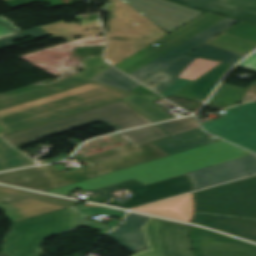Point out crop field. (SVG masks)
<instances>
[{
    "label": "crop field",
    "mask_w": 256,
    "mask_h": 256,
    "mask_svg": "<svg viewBox=\"0 0 256 256\" xmlns=\"http://www.w3.org/2000/svg\"><path fill=\"white\" fill-rule=\"evenodd\" d=\"M116 188L126 189L130 192H133L134 194L125 205L112 202L107 203V205L119 206L126 209L140 204L190 192L192 190L188 177L185 174L148 185L132 179L94 190V192L110 200L114 197V195L111 194L115 191Z\"/></svg>",
    "instance_id": "crop-field-10"
},
{
    "label": "crop field",
    "mask_w": 256,
    "mask_h": 256,
    "mask_svg": "<svg viewBox=\"0 0 256 256\" xmlns=\"http://www.w3.org/2000/svg\"><path fill=\"white\" fill-rule=\"evenodd\" d=\"M73 208L79 214L76 219L75 225L102 230V232L99 233V235H103L106 232H108L109 230H111L121 220H117L115 223H109L107 225H104V224H99V223L92 222V221H86L88 216L94 215L96 213H101V214H109V215L123 218V216L125 214V212L116 210V209H111V208H107V207H86L83 204L73 206Z\"/></svg>",
    "instance_id": "crop-field-22"
},
{
    "label": "crop field",
    "mask_w": 256,
    "mask_h": 256,
    "mask_svg": "<svg viewBox=\"0 0 256 256\" xmlns=\"http://www.w3.org/2000/svg\"><path fill=\"white\" fill-rule=\"evenodd\" d=\"M207 44H211L226 50H230L242 55H247L256 49V43H252L227 34H220Z\"/></svg>",
    "instance_id": "crop-field-27"
},
{
    "label": "crop field",
    "mask_w": 256,
    "mask_h": 256,
    "mask_svg": "<svg viewBox=\"0 0 256 256\" xmlns=\"http://www.w3.org/2000/svg\"><path fill=\"white\" fill-rule=\"evenodd\" d=\"M194 59L195 57L186 55L143 84L159 93L165 90ZM151 82L156 83V86H150Z\"/></svg>",
    "instance_id": "crop-field-24"
},
{
    "label": "crop field",
    "mask_w": 256,
    "mask_h": 256,
    "mask_svg": "<svg viewBox=\"0 0 256 256\" xmlns=\"http://www.w3.org/2000/svg\"><path fill=\"white\" fill-rule=\"evenodd\" d=\"M224 33L256 42V26L250 24L240 22Z\"/></svg>",
    "instance_id": "crop-field-35"
},
{
    "label": "crop field",
    "mask_w": 256,
    "mask_h": 256,
    "mask_svg": "<svg viewBox=\"0 0 256 256\" xmlns=\"http://www.w3.org/2000/svg\"><path fill=\"white\" fill-rule=\"evenodd\" d=\"M158 126L173 136L184 131L199 128V123L195 117L191 116L181 120L158 124Z\"/></svg>",
    "instance_id": "crop-field-32"
},
{
    "label": "crop field",
    "mask_w": 256,
    "mask_h": 256,
    "mask_svg": "<svg viewBox=\"0 0 256 256\" xmlns=\"http://www.w3.org/2000/svg\"><path fill=\"white\" fill-rule=\"evenodd\" d=\"M0 256H5L4 254L0 253Z\"/></svg>",
    "instance_id": "crop-field-45"
},
{
    "label": "crop field",
    "mask_w": 256,
    "mask_h": 256,
    "mask_svg": "<svg viewBox=\"0 0 256 256\" xmlns=\"http://www.w3.org/2000/svg\"><path fill=\"white\" fill-rule=\"evenodd\" d=\"M83 65L85 71L53 84L56 88L32 85L0 94V136L134 95L90 81L110 67L102 56Z\"/></svg>",
    "instance_id": "crop-field-1"
},
{
    "label": "crop field",
    "mask_w": 256,
    "mask_h": 256,
    "mask_svg": "<svg viewBox=\"0 0 256 256\" xmlns=\"http://www.w3.org/2000/svg\"><path fill=\"white\" fill-rule=\"evenodd\" d=\"M247 154L251 153L220 141L47 192L67 196L77 188L91 191L132 178L148 184Z\"/></svg>",
    "instance_id": "crop-field-2"
},
{
    "label": "crop field",
    "mask_w": 256,
    "mask_h": 256,
    "mask_svg": "<svg viewBox=\"0 0 256 256\" xmlns=\"http://www.w3.org/2000/svg\"><path fill=\"white\" fill-rule=\"evenodd\" d=\"M85 205H87V206H95V205H91V204H86V203H85Z\"/></svg>",
    "instance_id": "crop-field-44"
},
{
    "label": "crop field",
    "mask_w": 256,
    "mask_h": 256,
    "mask_svg": "<svg viewBox=\"0 0 256 256\" xmlns=\"http://www.w3.org/2000/svg\"><path fill=\"white\" fill-rule=\"evenodd\" d=\"M219 65V64H218ZM232 67V65L221 64L206 74L202 75L189 85L181 89L173 96L204 102L222 76Z\"/></svg>",
    "instance_id": "crop-field-19"
},
{
    "label": "crop field",
    "mask_w": 256,
    "mask_h": 256,
    "mask_svg": "<svg viewBox=\"0 0 256 256\" xmlns=\"http://www.w3.org/2000/svg\"><path fill=\"white\" fill-rule=\"evenodd\" d=\"M102 11L109 16L108 37L132 40L136 52L167 34L121 0H108ZM139 23L137 25L133 23Z\"/></svg>",
    "instance_id": "crop-field-8"
},
{
    "label": "crop field",
    "mask_w": 256,
    "mask_h": 256,
    "mask_svg": "<svg viewBox=\"0 0 256 256\" xmlns=\"http://www.w3.org/2000/svg\"><path fill=\"white\" fill-rule=\"evenodd\" d=\"M0 192L26 197L8 204L0 202V209L6 214L11 222L78 204V202L72 200L32 193L4 186H0Z\"/></svg>",
    "instance_id": "crop-field-11"
},
{
    "label": "crop field",
    "mask_w": 256,
    "mask_h": 256,
    "mask_svg": "<svg viewBox=\"0 0 256 256\" xmlns=\"http://www.w3.org/2000/svg\"><path fill=\"white\" fill-rule=\"evenodd\" d=\"M246 90L247 89L241 87L221 83L214 95L208 101V104L223 108L238 104L242 101Z\"/></svg>",
    "instance_id": "crop-field-25"
},
{
    "label": "crop field",
    "mask_w": 256,
    "mask_h": 256,
    "mask_svg": "<svg viewBox=\"0 0 256 256\" xmlns=\"http://www.w3.org/2000/svg\"><path fill=\"white\" fill-rule=\"evenodd\" d=\"M120 134L123 135L135 146L149 143L153 140H157L163 137H167V135L163 131H161L156 125L129 130L121 132Z\"/></svg>",
    "instance_id": "crop-field-30"
},
{
    "label": "crop field",
    "mask_w": 256,
    "mask_h": 256,
    "mask_svg": "<svg viewBox=\"0 0 256 256\" xmlns=\"http://www.w3.org/2000/svg\"><path fill=\"white\" fill-rule=\"evenodd\" d=\"M218 64L220 63L196 58L179 77L194 80Z\"/></svg>",
    "instance_id": "crop-field-33"
},
{
    "label": "crop field",
    "mask_w": 256,
    "mask_h": 256,
    "mask_svg": "<svg viewBox=\"0 0 256 256\" xmlns=\"http://www.w3.org/2000/svg\"><path fill=\"white\" fill-rule=\"evenodd\" d=\"M189 55L196 56L199 58H204L208 60H214V61H220V62H225L229 64H235L238 62L240 59H242L245 56L229 52L214 46L210 45H203L197 50L193 51Z\"/></svg>",
    "instance_id": "crop-field-28"
},
{
    "label": "crop field",
    "mask_w": 256,
    "mask_h": 256,
    "mask_svg": "<svg viewBox=\"0 0 256 256\" xmlns=\"http://www.w3.org/2000/svg\"><path fill=\"white\" fill-rule=\"evenodd\" d=\"M47 35H49L47 32H45L43 29L38 27V28L29 30V31H26V32H23L20 34L0 38V49L15 46L12 42L14 40L22 39V38L29 37V36H32L35 39H39V38L47 36Z\"/></svg>",
    "instance_id": "crop-field-34"
},
{
    "label": "crop field",
    "mask_w": 256,
    "mask_h": 256,
    "mask_svg": "<svg viewBox=\"0 0 256 256\" xmlns=\"http://www.w3.org/2000/svg\"><path fill=\"white\" fill-rule=\"evenodd\" d=\"M19 198H22V197H17V196L0 193V201L1 202H8V201H12V200L19 199Z\"/></svg>",
    "instance_id": "crop-field-42"
},
{
    "label": "crop field",
    "mask_w": 256,
    "mask_h": 256,
    "mask_svg": "<svg viewBox=\"0 0 256 256\" xmlns=\"http://www.w3.org/2000/svg\"><path fill=\"white\" fill-rule=\"evenodd\" d=\"M193 191L202 187L256 174V155L251 154L238 159L189 172Z\"/></svg>",
    "instance_id": "crop-field-15"
},
{
    "label": "crop field",
    "mask_w": 256,
    "mask_h": 256,
    "mask_svg": "<svg viewBox=\"0 0 256 256\" xmlns=\"http://www.w3.org/2000/svg\"><path fill=\"white\" fill-rule=\"evenodd\" d=\"M164 156L168 155L151 143L138 147L130 144L87 158L75 153L71 158L90 163L83 169L63 174L52 165H45L1 173L0 182L46 191Z\"/></svg>",
    "instance_id": "crop-field-3"
},
{
    "label": "crop field",
    "mask_w": 256,
    "mask_h": 256,
    "mask_svg": "<svg viewBox=\"0 0 256 256\" xmlns=\"http://www.w3.org/2000/svg\"><path fill=\"white\" fill-rule=\"evenodd\" d=\"M47 88H51V87H53V85L52 84H48V85H45Z\"/></svg>",
    "instance_id": "crop-field-43"
},
{
    "label": "crop field",
    "mask_w": 256,
    "mask_h": 256,
    "mask_svg": "<svg viewBox=\"0 0 256 256\" xmlns=\"http://www.w3.org/2000/svg\"><path fill=\"white\" fill-rule=\"evenodd\" d=\"M238 21L207 13L114 66L143 83Z\"/></svg>",
    "instance_id": "crop-field-4"
},
{
    "label": "crop field",
    "mask_w": 256,
    "mask_h": 256,
    "mask_svg": "<svg viewBox=\"0 0 256 256\" xmlns=\"http://www.w3.org/2000/svg\"><path fill=\"white\" fill-rule=\"evenodd\" d=\"M225 111L224 118L203 123V127L217 137L256 153V124L237 107Z\"/></svg>",
    "instance_id": "crop-field-12"
},
{
    "label": "crop field",
    "mask_w": 256,
    "mask_h": 256,
    "mask_svg": "<svg viewBox=\"0 0 256 256\" xmlns=\"http://www.w3.org/2000/svg\"><path fill=\"white\" fill-rule=\"evenodd\" d=\"M23 30L12 25V22L0 16V37L22 32Z\"/></svg>",
    "instance_id": "crop-field-36"
},
{
    "label": "crop field",
    "mask_w": 256,
    "mask_h": 256,
    "mask_svg": "<svg viewBox=\"0 0 256 256\" xmlns=\"http://www.w3.org/2000/svg\"><path fill=\"white\" fill-rule=\"evenodd\" d=\"M71 207L13 224L2 253L7 256H41L45 238L76 228Z\"/></svg>",
    "instance_id": "crop-field-6"
},
{
    "label": "crop field",
    "mask_w": 256,
    "mask_h": 256,
    "mask_svg": "<svg viewBox=\"0 0 256 256\" xmlns=\"http://www.w3.org/2000/svg\"><path fill=\"white\" fill-rule=\"evenodd\" d=\"M92 81H96L99 83H103L106 85H110L116 88L124 89V90H132L135 87L141 85L128 76L122 74L114 68H109L97 77L93 78Z\"/></svg>",
    "instance_id": "crop-field-29"
},
{
    "label": "crop field",
    "mask_w": 256,
    "mask_h": 256,
    "mask_svg": "<svg viewBox=\"0 0 256 256\" xmlns=\"http://www.w3.org/2000/svg\"><path fill=\"white\" fill-rule=\"evenodd\" d=\"M36 164L0 138V171Z\"/></svg>",
    "instance_id": "crop-field-26"
},
{
    "label": "crop field",
    "mask_w": 256,
    "mask_h": 256,
    "mask_svg": "<svg viewBox=\"0 0 256 256\" xmlns=\"http://www.w3.org/2000/svg\"><path fill=\"white\" fill-rule=\"evenodd\" d=\"M189 231L195 256H256V245L198 227Z\"/></svg>",
    "instance_id": "crop-field-13"
},
{
    "label": "crop field",
    "mask_w": 256,
    "mask_h": 256,
    "mask_svg": "<svg viewBox=\"0 0 256 256\" xmlns=\"http://www.w3.org/2000/svg\"><path fill=\"white\" fill-rule=\"evenodd\" d=\"M166 32L203 14L165 0H123Z\"/></svg>",
    "instance_id": "crop-field-14"
},
{
    "label": "crop field",
    "mask_w": 256,
    "mask_h": 256,
    "mask_svg": "<svg viewBox=\"0 0 256 256\" xmlns=\"http://www.w3.org/2000/svg\"><path fill=\"white\" fill-rule=\"evenodd\" d=\"M188 227V224L151 217L143 226L149 251L133 256H193Z\"/></svg>",
    "instance_id": "crop-field-9"
},
{
    "label": "crop field",
    "mask_w": 256,
    "mask_h": 256,
    "mask_svg": "<svg viewBox=\"0 0 256 256\" xmlns=\"http://www.w3.org/2000/svg\"><path fill=\"white\" fill-rule=\"evenodd\" d=\"M240 109L256 123V102H251L239 106Z\"/></svg>",
    "instance_id": "crop-field-38"
},
{
    "label": "crop field",
    "mask_w": 256,
    "mask_h": 256,
    "mask_svg": "<svg viewBox=\"0 0 256 256\" xmlns=\"http://www.w3.org/2000/svg\"><path fill=\"white\" fill-rule=\"evenodd\" d=\"M160 96L153 95H134L123 99L126 103L131 105L133 108L152 119L153 121H161L165 119H171L165 111H163L154 100L161 99Z\"/></svg>",
    "instance_id": "crop-field-23"
},
{
    "label": "crop field",
    "mask_w": 256,
    "mask_h": 256,
    "mask_svg": "<svg viewBox=\"0 0 256 256\" xmlns=\"http://www.w3.org/2000/svg\"><path fill=\"white\" fill-rule=\"evenodd\" d=\"M149 218V216L145 215L128 213L124 224L107 236L134 253L146 249L148 247L142 226Z\"/></svg>",
    "instance_id": "crop-field-18"
},
{
    "label": "crop field",
    "mask_w": 256,
    "mask_h": 256,
    "mask_svg": "<svg viewBox=\"0 0 256 256\" xmlns=\"http://www.w3.org/2000/svg\"><path fill=\"white\" fill-rule=\"evenodd\" d=\"M256 99V82L249 86L246 96L244 97L243 102Z\"/></svg>",
    "instance_id": "crop-field-41"
},
{
    "label": "crop field",
    "mask_w": 256,
    "mask_h": 256,
    "mask_svg": "<svg viewBox=\"0 0 256 256\" xmlns=\"http://www.w3.org/2000/svg\"><path fill=\"white\" fill-rule=\"evenodd\" d=\"M101 121L106 122L117 131L153 123L119 101L4 136V139L16 147L38 138Z\"/></svg>",
    "instance_id": "crop-field-5"
},
{
    "label": "crop field",
    "mask_w": 256,
    "mask_h": 256,
    "mask_svg": "<svg viewBox=\"0 0 256 256\" xmlns=\"http://www.w3.org/2000/svg\"><path fill=\"white\" fill-rule=\"evenodd\" d=\"M193 223L256 242V219L197 212Z\"/></svg>",
    "instance_id": "crop-field-17"
},
{
    "label": "crop field",
    "mask_w": 256,
    "mask_h": 256,
    "mask_svg": "<svg viewBox=\"0 0 256 256\" xmlns=\"http://www.w3.org/2000/svg\"><path fill=\"white\" fill-rule=\"evenodd\" d=\"M40 1L42 0H9V1H6V3L16 8V7H20V6L40 2Z\"/></svg>",
    "instance_id": "crop-field-40"
},
{
    "label": "crop field",
    "mask_w": 256,
    "mask_h": 256,
    "mask_svg": "<svg viewBox=\"0 0 256 256\" xmlns=\"http://www.w3.org/2000/svg\"><path fill=\"white\" fill-rule=\"evenodd\" d=\"M239 66L247 67L256 70V52L246 58Z\"/></svg>",
    "instance_id": "crop-field-39"
},
{
    "label": "crop field",
    "mask_w": 256,
    "mask_h": 256,
    "mask_svg": "<svg viewBox=\"0 0 256 256\" xmlns=\"http://www.w3.org/2000/svg\"><path fill=\"white\" fill-rule=\"evenodd\" d=\"M213 142L216 140L199 128L154 143L173 155Z\"/></svg>",
    "instance_id": "crop-field-20"
},
{
    "label": "crop field",
    "mask_w": 256,
    "mask_h": 256,
    "mask_svg": "<svg viewBox=\"0 0 256 256\" xmlns=\"http://www.w3.org/2000/svg\"><path fill=\"white\" fill-rule=\"evenodd\" d=\"M96 20L99 22L98 18H96ZM80 23H81V26H79L75 22H71V23L67 24L66 22L62 21V22L42 26L41 28L46 30L51 35L80 31L77 33L57 35V36L50 37L52 40L64 38L68 42L74 41L75 39L73 37H75V36L86 37V36L101 32V31H96V30H89V31H84V32L81 31L84 29H93V28L102 29L100 22L96 23L95 20H91V21L83 20Z\"/></svg>",
    "instance_id": "crop-field-21"
},
{
    "label": "crop field",
    "mask_w": 256,
    "mask_h": 256,
    "mask_svg": "<svg viewBox=\"0 0 256 256\" xmlns=\"http://www.w3.org/2000/svg\"><path fill=\"white\" fill-rule=\"evenodd\" d=\"M136 52L131 50V41L108 39L105 52L107 62L116 64Z\"/></svg>",
    "instance_id": "crop-field-31"
},
{
    "label": "crop field",
    "mask_w": 256,
    "mask_h": 256,
    "mask_svg": "<svg viewBox=\"0 0 256 256\" xmlns=\"http://www.w3.org/2000/svg\"><path fill=\"white\" fill-rule=\"evenodd\" d=\"M190 82L191 80L177 78L164 92L160 94L167 97L169 95L176 93L178 90H180Z\"/></svg>",
    "instance_id": "crop-field-37"
},
{
    "label": "crop field",
    "mask_w": 256,
    "mask_h": 256,
    "mask_svg": "<svg viewBox=\"0 0 256 256\" xmlns=\"http://www.w3.org/2000/svg\"><path fill=\"white\" fill-rule=\"evenodd\" d=\"M197 211L256 218V176L194 193Z\"/></svg>",
    "instance_id": "crop-field-7"
},
{
    "label": "crop field",
    "mask_w": 256,
    "mask_h": 256,
    "mask_svg": "<svg viewBox=\"0 0 256 256\" xmlns=\"http://www.w3.org/2000/svg\"><path fill=\"white\" fill-rule=\"evenodd\" d=\"M256 24V0H172Z\"/></svg>",
    "instance_id": "crop-field-16"
}]
</instances>
